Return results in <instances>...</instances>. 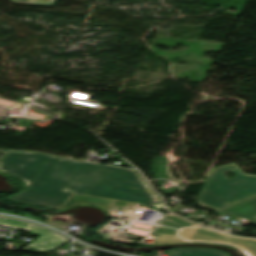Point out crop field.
I'll return each instance as SVG.
<instances>
[{"label": "crop field", "mask_w": 256, "mask_h": 256, "mask_svg": "<svg viewBox=\"0 0 256 256\" xmlns=\"http://www.w3.org/2000/svg\"><path fill=\"white\" fill-rule=\"evenodd\" d=\"M0 171L23 182L26 190L8 200L57 209L73 193L150 205L155 197L128 169L54 157L42 153L8 151Z\"/></svg>", "instance_id": "crop-field-1"}, {"label": "crop field", "mask_w": 256, "mask_h": 256, "mask_svg": "<svg viewBox=\"0 0 256 256\" xmlns=\"http://www.w3.org/2000/svg\"><path fill=\"white\" fill-rule=\"evenodd\" d=\"M237 176L228 180L225 173ZM197 203L220 215L234 214L252 220L256 216V175L245 174L236 163L212 169Z\"/></svg>", "instance_id": "crop-field-2"}, {"label": "crop field", "mask_w": 256, "mask_h": 256, "mask_svg": "<svg viewBox=\"0 0 256 256\" xmlns=\"http://www.w3.org/2000/svg\"><path fill=\"white\" fill-rule=\"evenodd\" d=\"M151 244L171 242H210L241 249L246 256H256V238L236 236L189 223L177 216H167L153 232Z\"/></svg>", "instance_id": "crop-field-3"}, {"label": "crop field", "mask_w": 256, "mask_h": 256, "mask_svg": "<svg viewBox=\"0 0 256 256\" xmlns=\"http://www.w3.org/2000/svg\"><path fill=\"white\" fill-rule=\"evenodd\" d=\"M0 225L20 229L31 234L40 235L35 240L30 242L27 246H25L23 248L24 250L35 252H49L55 250L56 248L60 247L68 241L62 236L48 229L19 220L0 217Z\"/></svg>", "instance_id": "crop-field-4"}, {"label": "crop field", "mask_w": 256, "mask_h": 256, "mask_svg": "<svg viewBox=\"0 0 256 256\" xmlns=\"http://www.w3.org/2000/svg\"><path fill=\"white\" fill-rule=\"evenodd\" d=\"M75 204H94L104 208L107 212L110 210L122 212L126 208L135 210L138 206L148 208L147 205L134 204L122 201L102 199L90 196L73 194L66 202H64L57 210L67 208Z\"/></svg>", "instance_id": "crop-field-5"}, {"label": "crop field", "mask_w": 256, "mask_h": 256, "mask_svg": "<svg viewBox=\"0 0 256 256\" xmlns=\"http://www.w3.org/2000/svg\"><path fill=\"white\" fill-rule=\"evenodd\" d=\"M169 256H227V255L217 250L178 249V250H172Z\"/></svg>", "instance_id": "crop-field-6"}, {"label": "crop field", "mask_w": 256, "mask_h": 256, "mask_svg": "<svg viewBox=\"0 0 256 256\" xmlns=\"http://www.w3.org/2000/svg\"><path fill=\"white\" fill-rule=\"evenodd\" d=\"M12 3L32 6L52 7L55 0H11Z\"/></svg>", "instance_id": "crop-field-7"}, {"label": "crop field", "mask_w": 256, "mask_h": 256, "mask_svg": "<svg viewBox=\"0 0 256 256\" xmlns=\"http://www.w3.org/2000/svg\"><path fill=\"white\" fill-rule=\"evenodd\" d=\"M129 170L132 171L135 175H137V176L143 181V183H144V185H145V191L148 192V193H150V194H152V195H154V196L156 197V200H155L154 202H161L160 197H158L155 193H153V192L149 189V187L147 186V184L145 183V181L143 180V178L141 177V175H140L137 171H135V170H131V169H129Z\"/></svg>", "instance_id": "crop-field-8"}, {"label": "crop field", "mask_w": 256, "mask_h": 256, "mask_svg": "<svg viewBox=\"0 0 256 256\" xmlns=\"http://www.w3.org/2000/svg\"><path fill=\"white\" fill-rule=\"evenodd\" d=\"M5 153H6L5 151H1V150H0V158H1Z\"/></svg>", "instance_id": "crop-field-9"}, {"label": "crop field", "mask_w": 256, "mask_h": 256, "mask_svg": "<svg viewBox=\"0 0 256 256\" xmlns=\"http://www.w3.org/2000/svg\"><path fill=\"white\" fill-rule=\"evenodd\" d=\"M251 224L256 225V219H254Z\"/></svg>", "instance_id": "crop-field-10"}]
</instances>
